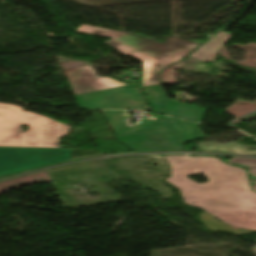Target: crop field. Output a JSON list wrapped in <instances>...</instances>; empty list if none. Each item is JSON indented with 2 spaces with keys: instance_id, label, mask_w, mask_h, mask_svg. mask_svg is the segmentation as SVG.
Returning <instances> with one entry per match:
<instances>
[{
  "instance_id": "3316defc",
  "label": "crop field",
  "mask_w": 256,
  "mask_h": 256,
  "mask_svg": "<svg viewBox=\"0 0 256 256\" xmlns=\"http://www.w3.org/2000/svg\"><path fill=\"white\" fill-rule=\"evenodd\" d=\"M168 118L183 143L204 138V135L198 128L199 124L170 117Z\"/></svg>"
},
{
  "instance_id": "412701ff",
  "label": "crop field",
  "mask_w": 256,
  "mask_h": 256,
  "mask_svg": "<svg viewBox=\"0 0 256 256\" xmlns=\"http://www.w3.org/2000/svg\"><path fill=\"white\" fill-rule=\"evenodd\" d=\"M116 138L135 151L185 149L165 116L159 115L155 121L145 119L139 125H127L123 111H103Z\"/></svg>"
},
{
  "instance_id": "ac0d7876",
  "label": "crop field",
  "mask_w": 256,
  "mask_h": 256,
  "mask_svg": "<svg viewBox=\"0 0 256 256\" xmlns=\"http://www.w3.org/2000/svg\"><path fill=\"white\" fill-rule=\"evenodd\" d=\"M76 31L112 37L106 42L125 55L144 61L142 86L159 85L161 70L182 59L200 44L172 36L163 44L133 34L82 25Z\"/></svg>"
},
{
  "instance_id": "e52e79f7",
  "label": "crop field",
  "mask_w": 256,
  "mask_h": 256,
  "mask_svg": "<svg viewBox=\"0 0 256 256\" xmlns=\"http://www.w3.org/2000/svg\"><path fill=\"white\" fill-rule=\"evenodd\" d=\"M64 72L68 77L75 95L128 85L109 77H97L91 65Z\"/></svg>"
},
{
  "instance_id": "28ad6ade",
  "label": "crop field",
  "mask_w": 256,
  "mask_h": 256,
  "mask_svg": "<svg viewBox=\"0 0 256 256\" xmlns=\"http://www.w3.org/2000/svg\"><path fill=\"white\" fill-rule=\"evenodd\" d=\"M153 111L166 114V94L160 86L142 87Z\"/></svg>"
},
{
  "instance_id": "34b2d1b8",
  "label": "crop field",
  "mask_w": 256,
  "mask_h": 256,
  "mask_svg": "<svg viewBox=\"0 0 256 256\" xmlns=\"http://www.w3.org/2000/svg\"><path fill=\"white\" fill-rule=\"evenodd\" d=\"M20 124L29 129L24 132ZM69 128L44 116L0 103V146L58 148L59 137L66 136Z\"/></svg>"
},
{
  "instance_id": "d1516ede",
  "label": "crop field",
  "mask_w": 256,
  "mask_h": 256,
  "mask_svg": "<svg viewBox=\"0 0 256 256\" xmlns=\"http://www.w3.org/2000/svg\"><path fill=\"white\" fill-rule=\"evenodd\" d=\"M229 162L241 163L243 165L249 166L248 172L256 175V159L233 157Z\"/></svg>"
},
{
  "instance_id": "f4fd0767",
  "label": "crop field",
  "mask_w": 256,
  "mask_h": 256,
  "mask_svg": "<svg viewBox=\"0 0 256 256\" xmlns=\"http://www.w3.org/2000/svg\"><path fill=\"white\" fill-rule=\"evenodd\" d=\"M71 150L0 147V176L70 160Z\"/></svg>"
},
{
  "instance_id": "8a807250",
  "label": "crop field",
  "mask_w": 256,
  "mask_h": 256,
  "mask_svg": "<svg viewBox=\"0 0 256 256\" xmlns=\"http://www.w3.org/2000/svg\"><path fill=\"white\" fill-rule=\"evenodd\" d=\"M172 166L166 179L182 193L186 204L197 206L224 222L256 230V192L242 168L208 157H165ZM203 173L209 182L198 184L186 176Z\"/></svg>"
},
{
  "instance_id": "dd49c442",
  "label": "crop field",
  "mask_w": 256,
  "mask_h": 256,
  "mask_svg": "<svg viewBox=\"0 0 256 256\" xmlns=\"http://www.w3.org/2000/svg\"><path fill=\"white\" fill-rule=\"evenodd\" d=\"M81 107L97 109H131L149 111L137 85H128L76 96Z\"/></svg>"
},
{
  "instance_id": "5a996713",
  "label": "crop field",
  "mask_w": 256,
  "mask_h": 256,
  "mask_svg": "<svg viewBox=\"0 0 256 256\" xmlns=\"http://www.w3.org/2000/svg\"><path fill=\"white\" fill-rule=\"evenodd\" d=\"M168 112H169V115L171 116H176V117L200 122L205 112V109L180 103V102H176V101H172V100H168Z\"/></svg>"
},
{
  "instance_id": "d8731c3e",
  "label": "crop field",
  "mask_w": 256,
  "mask_h": 256,
  "mask_svg": "<svg viewBox=\"0 0 256 256\" xmlns=\"http://www.w3.org/2000/svg\"><path fill=\"white\" fill-rule=\"evenodd\" d=\"M231 34L221 31L201 48L195 51L190 57L202 60L204 62H211L217 56L218 49L229 40Z\"/></svg>"
},
{
  "instance_id": "22f410ed",
  "label": "crop field",
  "mask_w": 256,
  "mask_h": 256,
  "mask_svg": "<svg viewBox=\"0 0 256 256\" xmlns=\"http://www.w3.org/2000/svg\"><path fill=\"white\" fill-rule=\"evenodd\" d=\"M253 190L256 191V184L252 185Z\"/></svg>"
}]
</instances>
